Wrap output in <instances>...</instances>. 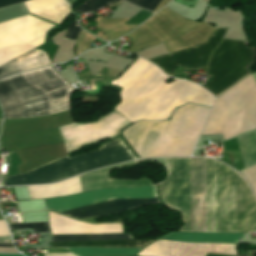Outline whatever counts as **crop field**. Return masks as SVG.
<instances>
[{"label": "crop field", "instance_id": "crop-field-1", "mask_svg": "<svg viewBox=\"0 0 256 256\" xmlns=\"http://www.w3.org/2000/svg\"><path fill=\"white\" fill-rule=\"evenodd\" d=\"M224 164V163H223ZM218 162V232L256 231V199L233 169ZM163 204L180 211L181 232H206V158H166ZM207 232H217V161L207 159Z\"/></svg>", "mask_w": 256, "mask_h": 256}, {"label": "crop field", "instance_id": "crop-field-2", "mask_svg": "<svg viewBox=\"0 0 256 256\" xmlns=\"http://www.w3.org/2000/svg\"><path fill=\"white\" fill-rule=\"evenodd\" d=\"M168 79L155 65L138 58L111 84L122 87L121 103L115 109L131 122L167 119L175 107L185 102L211 106L212 95L190 82Z\"/></svg>", "mask_w": 256, "mask_h": 256}, {"label": "crop field", "instance_id": "crop-field-3", "mask_svg": "<svg viewBox=\"0 0 256 256\" xmlns=\"http://www.w3.org/2000/svg\"><path fill=\"white\" fill-rule=\"evenodd\" d=\"M226 29H215L203 44L172 55L164 54L149 61L170 76L176 65L190 69L203 68L210 52L218 45ZM255 58L256 52L248 47L247 42L223 39L210 56L206 75L213 77L203 88L217 95L248 74V66L255 63Z\"/></svg>", "mask_w": 256, "mask_h": 256}, {"label": "crop field", "instance_id": "crop-field-4", "mask_svg": "<svg viewBox=\"0 0 256 256\" xmlns=\"http://www.w3.org/2000/svg\"><path fill=\"white\" fill-rule=\"evenodd\" d=\"M73 88L49 66L0 80L4 119L42 116L68 110Z\"/></svg>", "mask_w": 256, "mask_h": 256}, {"label": "crop field", "instance_id": "crop-field-5", "mask_svg": "<svg viewBox=\"0 0 256 256\" xmlns=\"http://www.w3.org/2000/svg\"><path fill=\"white\" fill-rule=\"evenodd\" d=\"M209 110L186 104L176 109L171 121L138 122L123 136L140 158L189 156Z\"/></svg>", "mask_w": 256, "mask_h": 256}, {"label": "crop field", "instance_id": "crop-field-6", "mask_svg": "<svg viewBox=\"0 0 256 256\" xmlns=\"http://www.w3.org/2000/svg\"><path fill=\"white\" fill-rule=\"evenodd\" d=\"M135 159L120 139L98 150L69 158L68 156L34 170L2 178V186L52 183L87 170Z\"/></svg>", "mask_w": 256, "mask_h": 256}, {"label": "crop field", "instance_id": "crop-field-7", "mask_svg": "<svg viewBox=\"0 0 256 256\" xmlns=\"http://www.w3.org/2000/svg\"><path fill=\"white\" fill-rule=\"evenodd\" d=\"M255 128L256 82L251 74L216 99L202 134L223 133L226 140Z\"/></svg>", "mask_w": 256, "mask_h": 256}, {"label": "crop field", "instance_id": "crop-field-8", "mask_svg": "<svg viewBox=\"0 0 256 256\" xmlns=\"http://www.w3.org/2000/svg\"><path fill=\"white\" fill-rule=\"evenodd\" d=\"M52 27L30 15L0 23V65L42 44Z\"/></svg>", "mask_w": 256, "mask_h": 256}, {"label": "crop field", "instance_id": "crop-field-9", "mask_svg": "<svg viewBox=\"0 0 256 256\" xmlns=\"http://www.w3.org/2000/svg\"><path fill=\"white\" fill-rule=\"evenodd\" d=\"M157 197L155 186H142L133 188H108L96 191L83 192L71 196L45 199V208L55 209L59 212L69 208L110 200L140 199Z\"/></svg>", "mask_w": 256, "mask_h": 256}, {"label": "crop field", "instance_id": "crop-field-10", "mask_svg": "<svg viewBox=\"0 0 256 256\" xmlns=\"http://www.w3.org/2000/svg\"><path fill=\"white\" fill-rule=\"evenodd\" d=\"M159 202L158 199H141V200H112L100 204H95L79 209H74L66 212H62L65 214H68L70 216L76 217V218H82V217H91V216H104L107 214H111L114 212L131 209L151 203H157Z\"/></svg>", "mask_w": 256, "mask_h": 256}, {"label": "crop field", "instance_id": "crop-field-11", "mask_svg": "<svg viewBox=\"0 0 256 256\" xmlns=\"http://www.w3.org/2000/svg\"><path fill=\"white\" fill-rule=\"evenodd\" d=\"M134 163L138 162L134 161L81 174L80 179L82 191L95 190L107 187H132L138 185H150V182L147 180V178L140 181H123L108 179V170Z\"/></svg>", "mask_w": 256, "mask_h": 256}, {"label": "crop field", "instance_id": "crop-field-12", "mask_svg": "<svg viewBox=\"0 0 256 256\" xmlns=\"http://www.w3.org/2000/svg\"><path fill=\"white\" fill-rule=\"evenodd\" d=\"M50 64L45 51L33 49L21 57L1 66L0 79L16 72L36 69Z\"/></svg>", "mask_w": 256, "mask_h": 256}, {"label": "crop field", "instance_id": "crop-field-13", "mask_svg": "<svg viewBox=\"0 0 256 256\" xmlns=\"http://www.w3.org/2000/svg\"><path fill=\"white\" fill-rule=\"evenodd\" d=\"M246 233H169L159 239L192 241V242H221L238 243Z\"/></svg>", "mask_w": 256, "mask_h": 256}, {"label": "crop field", "instance_id": "crop-field-14", "mask_svg": "<svg viewBox=\"0 0 256 256\" xmlns=\"http://www.w3.org/2000/svg\"><path fill=\"white\" fill-rule=\"evenodd\" d=\"M30 13L55 22L69 6L64 0H30L24 2Z\"/></svg>", "mask_w": 256, "mask_h": 256}, {"label": "crop field", "instance_id": "crop-field-15", "mask_svg": "<svg viewBox=\"0 0 256 256\" xmlns=\"http://www.w3.org/2000/svg\"><path fill=\"white\" fill-rule=\"evenodd\" d=\"M154 240H112V241H66L52 242V247L63 246H97V247H145Z\"/></svg>", "mask_w": 256, "mask_h": 256}, {"label": "crop field", "instance_id": "crop-field-16", "mask_svg": "<svg viewBox=\"0 0 256 256\" xmlns=\"http://www.w3.org/2000/svg\"><path fill=\"white\" fill-rule=\"evenodd\" d=\"M243 159L244 166L256 163V138L254 131L245 133L236 138Z\"/></svg>", "mask_w": 256, "mask_h": 256}, {"label": "crop field", "instance_id": "crop-field-17", "mask_svg": "<svg viewBox=\"0 0 256 256\" xmlns=\"http://www.w3.org/2000/svg\"><path fill=\"white\" fill-rule=\"evenodd\" d=\"M78 256L88 255H135L141 249H97V248H67Z\"/></svg>", "mask_w": 256, "mask_h": 256}, {"label": "crop field", "instance_id": "crop-field-18", "mask_svg": "<svg viewBox=\"0 0 256 256\" xmlns=\"http://www.w3.org/2000/svg\"><path fill=\"white\" fill-rule=\"evenodd\" d=\"M111 239H132V237H131V234L52 236V241H66V240H111Z\"/></svg>", "mask_w": 256, "mask_h": 256}, {"label": "crop field", "instance_id": "crop-field-19", "mask_svg": "<svg viewBox=\"0 0 256 256\" xmlns=\"http://www.w3.org/2000/svg\"><path fill=\"white\" fill-rule=\"evenodd\" d=\"M115 0H85L75 11L82 12L84 14L95 11Z\"/></svg>", "mask_w": 256, "mask_h": 256}, {"label": "crop field", "instance_id": "crop-field-20", "mask_svg": "<svg viewBox=\"0 0 256 256\" xmlns=\"http://www.w3.org/2000/svg\"><path fill=\"white\" fill-rule=\"evenodd\" d=\"M8 226H9L10 230L33 228L34 232L49 231L46 222L31 223V224H11V225H8Z\"/></svg>", "mask_w": 256, "mask_h": 256}, {"label": "crop field", "instance_id": "crop-field-21", "mask_svg": "<svg viewBox=\"0 0 256 256\" xmlns=\"http://www.w3.org/2000/svg\"><path fill=\"white\" fill-rule=\"evenodd\" d=\"M240 173L247 179L256 195V165L244 169Z\"/></svg>", "mask_w": 256, "mask_h": 256}, {"label": "crop field", "instance_id": "crop-field-22", "mask_svg": "<svg viewBox=\"0 0 256 256\" xmlns=\"http://www.w3.org/2000/svg\"><path fill=\"white\" fill-rule=\"evenodd\" d=\"M130 2L133 5L144 8L153 12L156 6L160 3L161 0H125Z\"/></svg>", "mask_w": 256, "mask_h": 256}, {"label": "crop field", "instance_id": "crop-field-23", "mask_svg": "<svg viewBox=\"0 0 256 256\" xmlns=\"http://www.w3.org/2000/svg\"><path fill=\"white\" fill-rule=\"evenodd\" d=\"M63 39L75 40L80 30L76 20L69 24Z\"/></svg>", "mask_w": 256, "mask_h": 256}, {"label": "crop field", "instance_id": "crop-field-24", "mask_svg": "<svg viewBox=\"0 0 256 256\" xmlns=\"http://www.w3.org/2000/svg\"><path fill=\"white\" fill-rule=\"evenodd\" d=\"M151 13H148L146 11L141 10L136 15H134L131 19H129L126 24H133V25H139L141 22H143L145 19L150 17Z\"/></svg>", "mask_w": 256, "mask_h": 256}, {"label": "crop field", "instance_id": "crop-field-25", "mask_svg": "<svg viewBox=\"0 0 256 256\" xmlns=\"http://www.w3.org/2000/svg\"><path fill=\"white\" fill-rule=\"evenodd\" d=\"M23 1H26V0H0V8L6 7L12 4H16L19 2H23Z\"/></svg>", "mask_w": 256, "mask_h": 256}, {"label": "crop field", "instance_id": "crop-field-26", "mask_svg": "<svg viewBox=\"0 0 256 256\" xmlns=\"http://www.w3.org/2000/svg\"><path fill=\"white\" fill-rule=\"evenodd\" d=\"M44 256H75V255L71 253H62V254L44 253Z\"/></svg>", "mask_w": 256, "mask_h": 256}, {"label": "crop field", "instance_id": "crop-field-27", "mask_svg": "<svg viewBox=\"0 0 256 256\" xmlns=\"http://www.w3.org/2000/svg\"><path fill=\"white\" fill-rule=\"evenodd\" d=\"M0 256H22L21 254H0Z\"/></svg>", "mask_w": 256, "mask_h": 256}, {"label": "crop field", "instance_id": "crop-field-28", "mask_svg": "<svg viewBox=\"0 0 256 256\" xmlns=\"http://www.w3.org/2000/svg\"><path fill=\"white\" fill-rule=\"evenodd\" d=\"M0 247H14L13 244H0Z\"/></svg>", "mask_w": 256, "mask_h": 256}, {"label": "crop field", "instance_id": "crop-field-29", "mask_svg": "<svg viewBox=\"0 0 256 256\" xmlns=\"http://www.w3.org/2000/svg\"><path fill=\"white\" fill-rule=\"evenodd\" d=\"M67 1L70 3V2H72V1H74V0H67Z\"/></svg>", "mask_w": 256, "mask_h": 256}]
</instances>
